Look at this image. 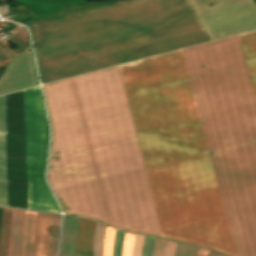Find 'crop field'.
Instances as JSON below:
<instances>
[{
    "mask_svg": "<svg viewBox=\"0 0 256 256\" xmlns=\"http://www.w3.org/2000/svg\"><path fill=\"white\" fill-rule=\"evenodd\" d=\"M80 218L64 216L59 256H74L77 227ZM96 223L81 219L75 256H93Z\"/></svg>",
    "mask_w": 256,
    "mask_h": 256,
    "instance_id": "crop-field-1",
    "label": "crop field"
},
{
    "mask_svg": "<svg viewBox=\"0 0 256 256\" xmlns=\"http://www.w3.org/2000/svg\"><path fill=\"white\" fill-rule=\"evenodd\" d=\"M36 217L37 213L25 211L20 256L34 254Z\"/></svg>",
    "mask_w": 256,
    "mask_h": 256,
    "instance_id": "crop-field-2",
    "label": "crop field"
},
{
    "mask_svg": "<svg viewBox=\"0 0 256 256\" xmlns=\"http://www.w3.org/2000/svg\"><path fill=\"white\" fill-rule=\"evenodd\" d=\"M50 218L51 215L38 213L34 256L47 254Z\"/></svg>",
    "mask_w": 256,
    "mask_h": 256,
    "instance_id": "crop-field-3",
    "label": "crop field"
},
{
    "mask_svg": "<svg viewBox=\"0 0 256 256\" xmlns=\"http://www.w3.org/2000/svg\"><path fill=\"white\" fill-rule=\"evenodd\" d=\"M24 211L13 209L7 256L20 255L21 229Z\"/></svg>",
    "mask_w": 256,
    "mask_h": 256,
    "instance_id": "crop-field-4",
    "label": "crop field"
},
{
    "mask_svg": "<svg viewBox=\"0 0 256 256\" xmlns=\"http://www.w3.org/2000/svg\"><path fill=\"white\" fill-rule=\"evenodd\" d=\"M12 209L3 208L0 228V256H6Z\"/></svg>",
    "mask_w": 256,
    "mask_h": 256,
    "instance_id": "crop-field-5",
    "label": "crop field"
},
{
    "mask_svg": "<svg viewBox=\"0 0 256 256\" xmlns=\"http://www.w3.org/2000/svg\"><path fill=\"white\" fill-rule=\"evenodd\" d=\"M61 216L52 215L51 228H50V239L47 256H55L56 248L59 236V225Z\"/></svg>",
    "mask_w": 256,
    "mask_h": 256,
    "instance_id": "crop-field-6",
    "label": "crop field"
},
{
    "mask_svg": "<svg viewBox=\"0 0 256 256\" xmlns=\"http://www.w3.org/2000/svg\"><path fill=\"white\" fill-rule=\"evenodd\" d=\"M114 233V229L107 227L103 256H112Z\"/></svg>",
    "mask_w": 256,
    "mask_h": 256,
    "instance_id": "crop-field-7",
    "label": "crop field"
},
{
    "mask_svg": "<svg viewBox=\"0 0 256 256\" xmlns=\"http://www.w3.org/2000/svg\"><path fill=\"white\" fill-rule=\"evenodd\" d=\"M196 247L179 243L174 256H194Z\"/></svg>",
    "mask_w": 256,
    "mask_h": 256,
    "instance_id": "crop-field-8",
    "label": "crop field"
},
{
    "mask_svg": "<svg viewBox=\"0 0 256 256\" xmlns=\"http://www.w3.org/2000/svg\"><path fill=\"white\" fill-rule=\"evenodd\" d=\"M124 233L116 231L113 256H121Z\"/></svg>",
    "mask_w": 256,
    "mask_h": 256,
    "instance_id": "crop-field-9",
    "label": "crop field"
},
{
    "mask_svg": "<svg viewBox=\"0 0 256 256\" xmlns=\"http://www.w3.org/2000/svg\"><path fill=\"white\" fill-rule=\"evenodd\" d=\"M156 239L147 238L144 239L142 256H152L153 246Z\"/></svg>",
    "mask_w": 256,
    "mask_h": 256,
    "instance_id": "crop-field-10",
    "label": "crop field"
},
{
    "mask_svg": "<svg viewBox=\"0 0 256 256\" xmlns=\"http://www.w3.org/2000/svg\"><path fill=\"white\" fill-rule=\"evenodd\" d=\"M133 238H134V235L126 233L122 256H130L131 255Z\"/></svg>",
    "mask_w": 256,
    "mask_h": 256,
    "instance_id": "crop-field-11",
    "label": "crop field"
},
{
    "mask_svg": "<svg viewBox=\"0 0 256 256\" xmlns=\"http://www.w3.org/2000/svg\"><path fill=\"white\" fill-rule=\"evenodd\" d=\"M144 237L135 235L132 256H141Z\"/></svg>",
    "mask_w": 256,
    "mask_h": 256,
    "instance_id": "crop-field-12",
    "label": "crop field"
},
{
    "mask_svg": "<svg viewBox=\"0 0 256 256\" xmlns=\"http://www.w3.org/2000/svg\"><path fill=\"white\" fill-rule=\"evenodd\" d=\"M165 240L157 239L154 246L153 256H163Z\"/></svg>",
    "mask_w": 256,
    "mask_h": 256,
    "instance_id": "crop-field-13",
    "label": "crop field"
},
{
    "mask_svg": "<svg viewBox=\"0 0 256 256\" xmlns=\"http://www.w3.org/2000/svg\"><path fill=\"white\" fill-rule=\"evenodd\" d=\"M178 243L167 241L164 256H173Z\"/></svg>",
    "mask_w": 256,
    "mask_h": 256,
    "instance_id": "crop-field-14",
    "label": "crop field"
},
{
    "mask_svg": "<svg viewBox=\"0 0 256 256\" xmlns=\"http://www.w3.org/2000/svg\"><path fill=\"white\" fill-rule=\"evenodd\" d=\"M209 253L208 250H205V249H202V248H199L197 249V252H196V256H207Z\"/></svg>",
    "mask_w": 256,
    "mask_h": 256,
    "instance_id": "crop-field-15",
    "label": "crop field"
},
{
    "mask_svg": "<svg viewBox=\"0 0 256 256\" xmlns=\"http://www.w3.org/2000/svg\"><path fill=\"white\" fill-rule=\"evenodd\" d=\"M209 256H220V255L215 254V253H213V252H210Z\"/></svg>",
    "mask_w": 256,
    "mask_h": 256,
    "instance_id": "crop-field-16",
    "label": "crop field"
}]
</instances>
